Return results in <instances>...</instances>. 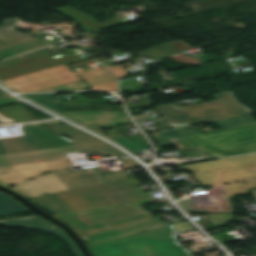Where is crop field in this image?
Listing matches in <instances>:
<instances>
[{"label":"crop field","instance_id":"23","mask_svg":"<svg viewBox=\"0 0 256 256\" xmlns=\"http://www.w3.org/2000/svg\"><path fill=\"white\" fill-rule=\"evenodd\" d=\"M15 55H18V53L8 47L0 49V59H8Z\"/></svg>","mask_w":256,"mask_h":256},{"label":"crop field","instance_id":"10","mask_svg":"<svg viewBox=\"0 0 256 256\" xmlns=\"http://www.w3.org/2000/svg\"><path fill=\"white\" fill-rule=\"evenodd\" d=\"M0 225L3 227H32L34 229H43L47 232L55 234L62 241L69 244L77 256H82L78 248L75 246V244L72 242V240L68 237L67 234L63 233L59 229V227L55 226L54 224L50 223L49 221L41 217L12 221V222H5V223H0ZM53 226L57 228L52 229L51 227Z\"/></svg>","mask_w":256,"mask_h":256},{"label":"crop field","instance_id":"26","mask_svg":"<svg viewBox=\"0 0 256 256\" xmlns=\"http://www.w3.org/2000/svg\"><path fill=\"white\" fill-rule=\"evenodd\" d=\"M16 26H19V27H22V28H30V27H33V26L42 27V25H40V24H28V23H25V22L17 24Z\"/></svg>","mask_w":256,"mask_h":256},{"label":"crop field","instance_id":"4","mask_svg":"<svg viewBox=\"0 0 256 256\" xmlns=\"http://www.w3.org/2000/svg\"><path fill=\"white\" fill-rule=\"evenodd\" d=\"M217 100L178 108L174 103L155 106L172 127L251 114V109L239 103L233 92L214 95Z\"/></svg>","mask_w":256,"mask_h":256},{"label":"crop field","instance_id":"13","mask_svg":"<svg viewBox=\"0 0 256 256\" xmlns=\"http://www.w3.org/2000/svg\"><path fill=\"white\" fill-rule=\"evenodd\" d=\"M201 134L197 130L194 131H184L182 128L149 134V138L152 140V142L155 141H161V140H167V139H173V138H179V137H185V136H191V135H197Z\"/></svg>","mask_w":256,"mask_h":256},{"label":"crop field","instance_id":"12","mask_svg":"<svg viewBox=\"0 0 256 256\" xmlns=\"http://www.w3.org/2000/svg\"><path fill=\"white\" fill-rule=\"evenodd\" d=\"M20 22L22 21L14 18V19L4 21V25L0 26V48L15 44L17 42L28 39L32 36L41 38L39 35L32 32L21 34L11 29L13 27L17 28L14 25Z\"/></svg>","mask_w":256,"mask_h":256},{"label":"crop field","instance_id":"25","mask_svg":"<svg viewBox=\"0 0 256 256\" xmlns=\"http://www.w3.org/2000/svg\"><path fill=\"white\" fill-rule=\"evenodd\" d=\"M53 94H57V93H50V94H31V95H24L26 97H28L29 99H36V98H40V97H44V96H49V95H53Z\"/></svg>","mask_w":256,"mask_h":256},{"label":"crop field","instance_id":"7","mask_svg":"<svg viewBox=\"0 0 256 256\" xmlns=\"http://www.w3.org/2000/svg\"><path fill=\"white\" fill-rule=\"evenodd\" d=\"M33 101L89 128H110L117 124H132L124 111L60 113L57 105L44 103L55 101V95Z\"/></svg>","mask_w":256,"mask_h":256},{"label":"crop field","instance_id":"15","mask_svg":"<svg viewBox=\"0 0 256 256\" xmlns=\"http://www.w3.org/2000/svg\"><path fill=\"white\" fill-rule=\"evenodd\" d=\"M212 122L219 128L225 129V128H231V127L256 123V120L252 118L250 115H246V116L216 120Z\"/></svg>","mask_w":256,"mask_h":256},{"label":"crop field","instance_id":"16","mask_svg":"<svg viewBox=\"0 0 256 256\" xmlns=\"http://www.w3.org/2000/svg\"><path fill=\"white\" fill-rule=\"evenodd\" d=\"M28 211L12 198L0 193V215Z\"/></svg>","mask_w":256,"mask_h":256},{"label":"crop field","instance_id":"31","mask_svg":"<svg viewBox=\"0 0 256 256\" xmlns=\"http://www.w3.org/2000/svg\"><path fill=\"white\" fill-rule=\"evenodd\" d=\"M3 96H8V94L0 89V97H3Z\"/></svg>","mask_w":256,"mask_h":256},{"label":"crop field","instance_id":"32","mask_svg":"<svg viewBox=\"0 0 256 256\" xmlns=\"http://www.w3.org/2000/svg\"><path fill=\"white\" fill-rule=\"evenodd\" d=\"M119 67H124V66L110 67L108 69L111 70V69H115V68H119Z\"/></svg>","mask_w":256,"mask_h":256},{"label":"crop field","instance_id":"29","mask_svg":"<svg viewBox=\"0 0 256 256\" xmlns=\"http://www.w3.org/2000/svg\"><path fill=\"white\" fill-rule=\"evenodd\" d=\"M109 87H110V90H111V91H116V90H117V85H116V83L109 84Z\"/></svg>","mask_w":256,"mask_h":256},{"label":"crop field","instance_id":"9","mask_svg":"<svg viewBox=\"0 0 256 256\" xmlns=\"http://www.w3.org/2000/svg\"><path fill=\"white\" fill-rule=\"evenodd\" d=\"M82 59L76 56H70L62 59L54 60L51 57L47 56L41 59H37L22 65H18L3 71H0V80H7L10 78L18 77L21 75H25L28 73L36 72L39 70L51 68L54 66L69 64L77 61H81Z\"/></svg>","mask_w":256,"mask_h":256},{"label":"crop field","instance_id":"30","mask_svg":"<svg viewBox=\"0 0 256 256\" xmlns=\"http://www.w3.org/2000/svg\"><path fill=\"white\" fill-rule=\"evenodd\" d=\"M93 130L98 132V133H100V134H102V135H104V136H106L105 132L102 131L101 129H93Z\"/></svg>","mask_w":256,"mask_h":256},{"label":"crop field","instance_id":"21","mask_svg":"<svg viewBox=\"0 0 256 256\" xmlns=\"http://www.w3.org/2000/svg\"><path fill=\"white\" fill-rule=\"evenodd\" d=\"M136 53L137 54H144V55L150 56V57L155 58V59H160L162 57H166L167 56L166 54H164L157 47L151 48V49H147V50H143V51H139V52H136Z\"/></svg>","mask_w":256,"mask_h":256},{"label":"crop field","instance_id":"22","mask_svg":"<svg viewBox=\"0 0 256 256\" xmlns=\"http://www.w3.org/2000/svg\"><path fill=\"white\" fill-rule=\"evenodd\" d=\"M86 93V92H82ZM76 103H58L59 106H75V105H90L89 99L79 95V93H74Z\"/></svg>","mask_w":256,"mask_h":256},{"label":"crop field","instance_id":"11","mask_svg":"<svg viewBox=\"0 0 256 256\" xmlns=\"http://www.w3.org/2000/svg\"><path fill=\"white\" fill-rule=\"evenodd\" d=\"M54 11L62 12L68 15L69 17L73 18L77 23H79L84 28L86 33L94 30L102 29L105 27H109L112 25L120 24V22L117 19L104 22V23H98L96 22L95 18L83 12H80L70 6L55 9Z\"/></svg>","mask_w":256,"mask_h":256},{"label":"crop field","instance_id":"5","mask_svg":"<svg viewBox=\"0 0 256 256\" xmlns=\"http://www.w3.org/2000/svg\"><path fill=\"white\" fill-rule=\"evenodd\" d=\"M153 198L77 211L55 217L73 227L79 234L110 228L150 215L140 206L154 203Z\"/></svg>","mask_w":256,"mask_h":256},{"label":"crop field","instance_id":"19","mask_svg":"<svg viewBox=\"0 0 256 256\" xmlns=\"http://www.w3.org/2000/svg\"><path fill=\"white\" fill-rule=\"evenodd\" d=\"M158 48H160L164 53H166L168 56L173 55V54H177L180 53L182 51H185L187 49H189L187 47V44L178 41L175 43H170V44H165L162 46H158Z\"/></svg>","mask_w":256,"mask_h":256},{"label":"crop field","instance_id":"1","mask_svg":"<svg viewBox=\"0 0 256 256\" xmlns=\"http://www.w3.org/2000/svg\"><path fill=\"white\" fill-rule=\"evenodd\" d=\"M135 179H126L29 199L51 215L151 197Z\"/></svg>","mask_w":256,"mask_h":256},{"label":"crop field","instance_id":"17","mask_svg":"<svg viewBox=\"0 0 256 256\" xmlns=\"http://www.w3.org/2000/svg\"><path fill=\"white\" fill-rule=\"evenodd\" d=\"M49 54H51L49 52V50L47 48H44V49L35 51L33 53L24 55V56H26V58H24V59H20V60H17V61H14V60L10 59V60H7V61H4V62L0 63V70L6 69V68H9V67L18 65V64H22V63H25V62H28V61H31V60H34V59H37V58H41V57L47 56Z\"/></svg>","mask_w":256,"mask_h":256},{"label":"crop field","instance_id":"18","mask_svg":"<svg viewBox=\"0 0 256 256\" xmlns=\"http://www.w3.org/2000/svg\"><path fill=\"white\" fill-rule=\"evenodd\" d=\"M47 44H50V43L43 41V40L36 39V38H31V39H28L26 41L20 42L18 44H15V45H12L9 47L13 48L18 53L22 54V53L39 48V47L47 45Z\"/></svg>","mask_w":256,"mask_h":256},{"label":"crop field","instance_id":"3","mask_svg":"<svg viewBox=\"0 0 256 256\" xmlns=\"http://www.w3.org/2000/svg\"><path fill=\"white\" fill-rule=\"evenodd\" d=\"M163 142L155 144L158 152L164 151ZM172 142L174 145H180L181 150L198 149L202 157H225L256 152V124L173 139Z\"/></svg>","mask_w":256,"mask_h":256},{"label":"crop field","instance_id":"2","mask_svg":"<svg viewBox=\"0 0 256 256\" xmlns=\"http://www.w3.org/2000/svg\"><path fill=\"white\" fill-rule=\"evenodd\" d=\"M173 225L90 245L94 256H191L175 240ZM179 232L195 230L188 222L174 224Z\"/></svg>","mask_w":256,"mask_h":256},{"label":"crop field","instance_id":"6","mask_svg":"<svg viewBox=\"0 0 256 256\" xmlns=\"http://www.w3.org/2000/svg\"><path fill=\"white\" fill-rule=\"evenodd\" d=\"M102 71V73H100ZM79 74L92 86L115 82L104 69L73 73L64 65L3 81L19 92H31L69 82L80 81Z\"/></svg>","mask_w":256,"mask_h":256},{"label":"crop field","instance_id":"28","mask_svg":"<svg viewBox=\"0 0 256 256\" xmlns=\"http://www.w3.org/2000/svg\"><path fill=\"white\" fill-rule=\"evenodd\" d=\"M91 89H102V90H109L108 85L105 86H97V87H92Z\"/></svg>","mask_w":256,"mask_h":256},{"label":"crop field","instance_id":"14","mask_svg":"<svg viewBox=\"0 0 256 256\" xmlns=\"http://www.w3.org/2000/svg\"><path fill=\"white\" fill-rule=\"evenodd\" d=\"M120 143L123 147L138 153L141 150H147L150 148V144L148 140L145 137H129L124 139H113ZM129 140H132V142H129Z\"/></svg>","mask_w":256,"mask_h":256},{"label":"crop field","instance_id":"8","mask_svg":"<svg viewBox=\"0 0 256 256\" xmlns=\"http://www.w3.org/2000/svg\"><path fill=\"white\" fill-rule=\"evenodd\" d=\"M160 218H162V217L161 216L152 217V218L137 221L134 223L119 226V227L112 228V229L105 230V231L100 230L98 232H91L89 234L82 235V236L87 237L84 239V241L87 243V245H90V244L102 242L105 240L121 237L124 235H128V234H132V233H136V232H140V231H144V230H148V229H152V228L170 224V221L162 223L161 221L158 220Z\"/></svg>","mask_w":256,"mask_h":256},{"label":"crop field","instance_id":"24","mask_svg":"<svg viewBox=\"0 0 256 256\" xmlns=\"http://www.w3.org/2000/svg\"><path fill=\"white\" fill-rule=\"evenodd\" d=\"M19 102L20 101H18L17 99L11 96L0 98V106L6 105V104H12V103H19Z\"/></svg>","mask_w":256,"mask_h":256},{"label":"crop field","instance_id":"27","mask_svg":"<svg viewBox=\"0 0 256 256\" xmlns=\"http://www.w3.org/2000/svg\"><path fill=\"white\" fill-rule=\"evenodd\" d=\"M112 72L117 77V79L122 77L126 73V71L123 69L113 70Z\"/></svg>","mask_w":256,"mask_h":256},{"label":"crop field","instance_id":"33","mask_svg":"<svg viewBox=\"0 0 256 256\" xmlns=\"http://www.w3.org/2000/svg\"><path fill=\"white\" fill-rule=\"evenodd\" d=\"M20 58H24V57H23V56H21V57H17V58H13V59L17 60V59H20Z\"/></svg>","mask_w":256,"mask_h":256},{"label":"crop field","instance_id":"20","mask_svg":"<svg viewBox=\"0 0 256 256\" xmlns=\"http://www.w3.org/2000/svg\"><path fill=\"white\" fill-rule=\"evenodd\" d=\"M85 88H89V86L85 82L80 81L40 91L82 90Z\"/></svg>","mask_w":256,"mask_h":256}]
</instances>
